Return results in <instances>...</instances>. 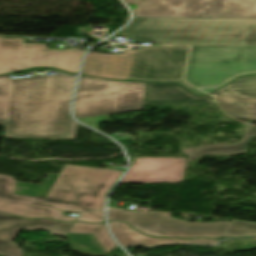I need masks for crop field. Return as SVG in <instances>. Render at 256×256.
Listing matches in <instances>:
<instances>
[{"label": "crop field", "mask_w": 256, "mask_h": 256, "mask_svg": "<svg viewBox=\"0 0 256 256\" xmlns=\"http://www.w3.org/2000/svg\"><path fill=\"white\" fill-rule=\"evenodd\" d=\"M123 172L65 165L60 175H49L43 187L0 174V212L28 218L75 221L76 218L65 216L62 211L37 205L73 212L103 210L107 192ZM17 186L29 189L21 188L23 191L19 192Z\"/></svg>", "instance_id": "1"}, {"label": "crop field", "mask_w": 256, "mask_h": 256, "mask_svg": "<svg viewBox=\"0 0 256 256\" xmlns=\"http://www.w3.org/2000/svg\"><path fill=\"white\" fill-rule=\"evenodd\" d=\"M76 77L0 76V123L6 136L72 138L71 94Z\"/></svg>", "instance_id": "2"}, {"label": "crop field", "mask_w": 256, "mask_h": 256, "mask_svg": "<svg viewBox=\"0 0 256 256\" xmlns=\"http://www.w3.org/2000/svg\"><path fill=\"white\" fill-rule=\"evenodd\" d=\"M119 32L135 41L175 45H256L252 19H143Z\"/></svg>", "instance_id": "3"}, {"label": "crop field", "mask_w": 256, "mask_h": 256, "mask_svg": "<svg viewBox=\"0 0 256 256\" xmlns=\"http://www.w3.org/2000/svg\"><path fill=\"white\" fill-rule=\"evenodd\" d=\"M189 47H146L124 54L86 56L82 73L102 78L145 81H182Z\"/></svg>", "instance_id": "4"}, {"label": "crop field", "mask_w": 256, "mask_h": 256, "mask_svg": "<svg viewBox=\"0 0 256 256\" xmlns=\"http://www.w3.org/2000/svg\"><path fill=\"white\" fill-rule=\"evenodd\" d=\"M256 74V46H192L185 80L195 86L221 87Z\"/></svg>", "instance_id": "5"}, {"label": "crop field", "mask_w": 256, "mask_h": 256, "mask_svg": "<svg viewBox=\"0 0 256 256\" xmlns=\"http://www.w3.org/2000/svg\"><path fill=\"white\" fill-rule=\"evenodd\" d=\"M145 84L82 76L75 98L76 118L143 108Z\"/></svg>", "instance_id": "6"}, {"label": "crop field", "mask_w": 256, "mask_h": 256, "mask_svg": "<svg viewBox=\"0 0 256 256\" xmlns=\"http://www.w3.org/2000/svg\"><path fill=\"white\" fill-rule=\"evenodd\" d=\"M137 17H256V0H125Z\"/></svg>", "instance_id": "7"}, {"label": "crop field", "mask_w": 256, "mask_h": 256, "mask_svg": "<svg viewBox=\"0 0 256 256\" xmlns=\"http://www.w3.org/2000/svg\"><path fill=\"white\" fill-rule=\"evenodd\" d=\"M83 51L49 50L46 44L24 43V38L0 37V74L31 67H57L77 73Z\"/></svg>", "instance_id": "8"}, {"label": "crop field", "mask_w": 256, "mask_h": 256, "mask_svg": "<svg viewBox=\"0 0 256 256\" xmlns=\"http://www.w3.org/2000/svg\"><path fill=\"white\" fill-rule=\"evenodd\" d=\"M165 212H141L109 209V221L121 220L128 222L133 228L157 237H223L230 223H197L185 222L169 217Z\"/></svg>", "instance_id": "9"}, {"label": "crop field", "mask_w": 256, "mask_h": 256, "mask_svg": "<svg viewBox=\"0 0 256 256\" xmlns=\"http://www.w3.org/2000/svg\"><path fill=\"white\" fill-rule=\"evenodd\" d=\"M223 112L239 119L256 120V98H241L232 96H214ZM256 136V128L248 127L243 140L239 144H217L196 149L184 150L189 156V162L207 154L234 155L246 153L247 145Z\"/></svg>", "instance_id": "10"}, {"label": "crop field", "mask_w": 256, "mask_h": 256, "mask_svg": "<svg viewBox=\"0 0 256 256\" xmlns=\"http://www.w3.org/2000/svg\"><path fill=\"white\" fill-rule=\"evenodd\" d=\"M187 158L139 157L121 183H177L184 180Z\"/></svg>", "instance_id": "11"}, {"label": "crop field", "mask_w": 256, "mask_h": 256, "mask_svg": "<svg viewBox=\"0 0 256 256\" xmlns=\"http://www.w3.org/2000/svg\"><path fill=\"white\" fill-rule=\"evenodd\" d=\"M73 223H62L48 219H28L0 213V254L22 256L23 250L12 243L21 229L49 230L50 233L66 236Z\"/></svg>", "instance_id": "12"}, {"label": "crop field", "mask_w": 256, "mask_h": 256, "mask_svg": "<svg viewBox=\"0 0 256 256\" xmlns=\"http://www.w3.org/2000/svg\"><path fill=\"white\" fill-rule=\"evenodd\" d=\"M89 235H93L94 238ZM67 239L71 240L69 243L73 250L88 256H101L117 246L109 236L105 223H75ZM81 245H87L89 249L80 248Z\"/></svg>", "instance_id": "13"}, {"label": "crop field", "mask_w": 256, "mask_h": 256, "mask_svg": "<svg viewBox=\"0 0 256 256\" xmlns=\"http://www.w3.org/2000/svg\"><path fill=\"white\" fill-rule=\"evenodd\" d=\"M212 97H199L178 84H146L144 104H212Z\"/></svg>", "instance_id": "14"}, {"label": "crop field", "mask_w": 256, "mask_h": 256, "mask_svg": "<svg viewBox=\"0 0 256 256\" xmlns=\"http://www.w3.org/2000/svg\"><path fill=\"white\" fill-rule=\"evenodd\" d=\"M112 232L117 238V240L125 246H130L138 244L141 246H153L157 238H151L145 235H142L130 228L127 223L112 221L110 222Z\"/></svg>", "instance_id": "15"}, {"label": "crop field", "mask_w": 256, "mask_h": 256, "mask_svg": "<svg viewBox=\"0 0 256 256\" xmlns=\"http://www.w3.org/2000/svg\"><path fill=\"white\" fill-rule=\"evenodd\" d=\"M214 94L256 97V76L240 78Z\"/></svg>", "instance_id": "16"}, {"label": "crop field", "mask_w": 256, "mask_h": 256, "mask_svg": "<svg viewBox=\"0 0 256 256\" xmlns=\"http://www.w3.org/2000/svg\"><path fill=\"white\" fill-rule=\"evenodd\" d=\"M256 235V223L232 220L224 237H239Z\"/></svg>", "instance_id": "17"}, {"label": "crop field", "mask_w": 256, "mask_h": 256, "mask_svg": "<svg viewBox=\"0 0 256 256\" xmlns=\"http://www.w3.org/2000/svg\"><path fill=\"white\" fill-rule=\"evenodd\" d=\"M218 241L219 240H212V239L176 240V239L158 238V240L154 245L174 244V243H203V244L216 245Z\"/></svg>", "instance_id": "18"}, {"label": "crop field", "mask_w": 256, "mask_h": 256, "mask_svg": "<svg viewBox=\"0 0 256 256\" xmlns=\"http://www.w3.org/2000/svg\"><path fill=\"white\" fill-rule=\"evenodd\" d=\"M77 221L99 223V222H104L105 219H104L103 212H91V213L80 214Z\"/></svg>", "instance_id": "19"}]
</instances>
